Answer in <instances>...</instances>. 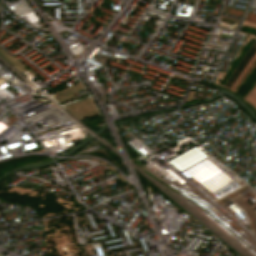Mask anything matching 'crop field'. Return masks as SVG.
I'll return each mask as SVG.
<instances>
[{
	"instance_id": "obj_1",
	"label": "crop field",
	"mask_w": 256,
	"mask_h": 256,
	"mask_svg": "<svg viewBox=\"0 0 256 256\" xmlns=\"http://www.w3.org/2000/svg\"><path fill=\"white\" fill-rule=\"evenodd\" d=\"M244 99L248 101L254 108H256V85L251 89Z\"/></svg>"
},
{
	"instance_id": "obj_2",
	"label": "crop field",
	"mask_w": 256,
	"mask_h": 256,
	"mask_svg": "<svg viewBox=\"0 0 256 256\" xmlns=\"http://www.w3.org/2000/svg\"><path fill=\"white\" fill-rule=\"evenodd\" d=\"M256 58V54L253 56V58L250 60V62L247 64V66L244 68V70L241 72V74L239 75V77L237 78V80L235 81V83L232 85V87L230 88L231 90L235 87L236 83L241 79V77L244 75L245 71L247 70V68L250 66V64L253 62V60Z\"/></svg>"
}]
</instances>
